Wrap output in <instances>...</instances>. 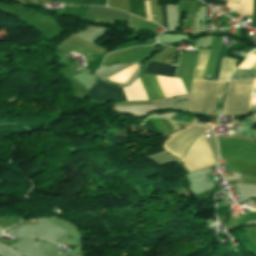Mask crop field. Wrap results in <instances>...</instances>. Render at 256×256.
Wrapping results in <instances>:
<instances>
[{
    "instance_id": "8a807250",
    "label": "crop field",
    "mask_w": 256,
    "mask_h": 256,
    "mask_svg": "<svg viewBox=\"0 0 256 256\" xmlns=\"http://www.w3.org/2000/svg\"><path fill=\"white\" fill-rule=\"evenodd\" d=\"M220 144L256 152V143L235 138L217 139ZM220 157L226 160L229 171L256 177V153L220 145Z\"/></svg>"
},
{
    "instance_id": "ac0d7876",
    "label": "crop field",
    "mask_w": 256,
    "mask_h": 256,
    "mask_svg": "<svg viewBox=\"0 0 256 256\" xmlns=\"http://www.w3.org/2000/svg\"><path fill=\"white\" fill-rule=\"evenodd\" d=\"M226 82L193 80L188 110H215L216 96L223 97Z\"/></svg>"
},
{
    "instance_id": "34b2d1b8",
    "label": "crop field",
    "mask_w": 256,
    "mask_h": 256,
    "mask_svg": "<svg viewBox=\"0 0 256 256\" xmlns=\"http://www.w3.org/2000/svg\"><path fill=\"white\" fill-rule=\"evenodd\" d=\"M253 81L230 80L223 114L247 113Z\"/></svg>"
},
{
    "instance_id": "412701ff",
    "label": "crop field",
    "mask_w": 256,
    "mask_h": 256,
    "mask_svg": "<svg viewBox=\"0 0 256 256\" xmlns=\"http://www.w3.org/2000/svg\"><path fill=\"white\" fill-rule=\"evenodd\" d=\"M180 160L190 172L215 165L204 134L193 143L186 156Z\"/></svg>"
},
{
    "instance_id": "f4fd0767",
    "label": "crop field",
    "mask_w": 256,
    "mask_h": 256,
    "mask_svg": "<svg viewBox=\"0 0 256 256\" xmlns=\"http://www.w3.org/2000/svg\"><path fill=\"white\" fill-rule=\"evenodd\" d=\"M206 128L207 127L204 126L194 125L185 130H182L170 137L163 145V148L171 154L181 158L193 140L203 131H205Z\"/></svg>"
},
{
    "instance_id": "dd49c442",
    "label": "crop field",
    "mask_w": 256,
    "mask_h": 256,
    "mask_svg": "<svg viewBox=\"0 0 256 256\" xmlns=\"http://www.w3.org/2000/svg\"><path fill=\"white\" fill-rule=\"evenodd\" d=\"M89 98L104 102L130 100L124 88H116L98 80L95 85L91 89H89Z\"/></svg>"
},
{
    "instance_id": "e52e79f7",
    "label": "crop field",
    "mask_w": 256,
    "mask_h": 256,
    "mask_svg": "<svg viewBox=\"0 0 256 256\" xmlns=\"http://www.w3.org/2000/svg\"><path fill=\"white\" fill-rule=\"evenodd\" d=\"M140 79L149 100L165 98L155 75H143Z\"/></svg>"
},
{
    "instance_id": "d8731c3e",
    "label": "crop field",
    "mask_w": 256,
    "mask_h": 256,
    "mask_svg": "<svg viewBox=\"0 0 256 256\" xmlns=\"http://www.w3.org/2000/svg\"><path fill=\"white\" fill-rule=\"evenodd\" d=\"M87 16L129 20L128 15L125 13L100 7H90Z\"/></svg>"
},
{
    "instance_id": "5a996713",
    "label": "crop field",
    "mask_w": 256,
    "mask_h": 256,
    "mask_svg": "<svg viewBox=\"0 0 256 256\" xmlns=\"http://www.w3.org/2000/svg\"><path fill=\"white\" fill-rule=\"evenodd\" d=\"M175 71L176 66L150 62L145 72L174 77Z\"/></svg>"
},
{
    "instance_id": "3316defc",
    "label": "crop field",
    "mask_w": 256,
    "mask_h": 256,
    "mask_svg": "<svg viewBox=\"0 0 256 256\" xmlns=\"http://www.w3.org/2000/svg\"><path fill=\"white\" fill-rule=\"evenodd\" d=\"M236 60L230 58H223L222 65L220 68V81L229 79L231 73L235 70Z\"/></svg>"
},
{
    "instance_id": "28ad6ade",
    "label": "crop field",
    "mask_w": 256,
    "mask_h": 256,
    "mask_svg": "<svg viewBox=\"0 0 256 256\" xmlns=\"http://www.w3.org/2000/svg\"><path fill=\"white\" fill-rule=\"evenodd\" d=\"M240 3L243 4L242 14L252 15V0H241ZM251 25L256 27V0H253V18Z\"/></svg>"
},
{
    "instance_id": "d1516ede",
    "label": "crop field",
    "mask_w": 256,
    "mask_h": 256,
    "mask_svg": "<svg viewBox=\"0 0 256 256\" xmlns=\"http://www.w3.org/2000/svg\"><path fill=\"white\" fill-rule=\"evenodd\" d=\"M130 13L145 18L142 0H129Z\"/></svg>"
},
{
    "instance_id": "22f410ed",
    "label": "crop field",
    "mask_w": 256,
    "mask_h": 256,
    "mask_svg": "<svg viewBox=\"0 0 256 256\" xmlns=\"http://www.w3.org/2000/svg\"><path fill=\"white\" fill-rule=\"evenodd\" d=\"M108 6L115 7L129 13L128 0H108Z\"/></svg>"
},
{
    "instance_id": "cbeb9de0",
    "label": "crop field",
    "mask_w": 256,
    "mask_h": 256,
    "mask_svg": "<svg viewBox=\"0 0 256 256\" xmlns=\"http://www.w3.org/2000/svg\"><path fill=\"white\" fill-rule=\"evenodd\" d=\"M227 52L228 51L220 50L219 57H218V62H217V67H216V71H215V75H214V79L213 80H218L219 68H220L221 60H222V57H227Z\"/></svg>"
},
{
    "instance_id": "5142ce71",
    "label": "crop field",
    "mask_w": 256,
    "mask_h": 256,
    "mask_svg": "<svg viewBox=\"0 0 256 256\" xmlns=\"http://www.w3.org/2000/svg\"><path fill=\"white\" fill-rule=\"evenodd\" d=\"M226 7L233 10L237 14L241 15V7H242L241 4H236V3H232V2L227 1Z\"/></svg>"
},
{
    "instance_id": "d9b57169",
    "label": "crop field",
    "mask_w": 256,
    "mask_h": 256,
    "mask_svg": "<svg viewBox=\"0 0 256 256\" xmlns=\"http://www.w3.org/2000/svg\"><path fill=\"white\" fill-rule=\"evenodd\" d=\"M249 109H256V87H253L252 89Z\"/></svg>"
},
{
    "instance_id": "733c2abd",
    "label": "crop field",
    "mask_w": 256,
    "mask_h": 256,
    "mask_svg": "<svg viewBox=\"0 0 256 256\" xmlns=\"http://www.w3.org/2000/svg\"><path fill=\"white\" fill-rule=\"evenodd\" d=\"M204 3H213V4H218V5H225L226 1L224 0H202Z\"/></svg>"
},
{
    "instance_id": "4a817a6b",
    "label": "crop field",
    "mask_w": 256,
    "mask_h": 256,
    "mask_svg": "<svg viewBox=\"0 0 256 256\" xmlns=\"http://www.w3.org/2000/svg\"><path fill=\"white\" fill-rule=\"evenodd\" d=\"M161 9H162V15H163V26L167 27L165 6H161Z\"/></svg>"
},
{
    "instance_id": "bc2a9ffb",
    "label": "crop field",
    "mask_w": 256,
    "mask_h": 256,
    "mask_svg": "<svg viewBox=\"0 0 256 256\" xmlns=\"http://www.w3.org/2000/svg\"><path fill=\"white\" fill-rule=\"evenodd\" d=\"M241 39L247 38L246 28H239Z\"/></svg>"
},
{
    "instance_id": "214f88e0",
    "label": "crop field",
    "mask_w": 256,
    "mask_h": 256,
    "mask_svg": "<svg viewBox=\"0 0 256 256\" xmlns=\"http://www.w3.org/2000/svg\"><path fill=\"white\" fill-rule=\"evenodd\" d=\"M247 68H251V69L256 68V58L252 61V63Z\"/></svg>"
},
{
    "instance_id": "92a150f3",
    "label": "crop field",
    "mask_w": 256,
    "mask_h": 256,
    "mask_svg": "<svg viewBox=\"0 0 256 256\" xmlns=\"http://www.w3.org/2000/svg\"><path fill=\"white\" fill-rule=\"evenodd\" d=\"M251 128L256 129V122H254V124L251 126Z\"/></svg>"
},
{
    "instance_id": "dafd665d",
    "label": "crop field",
    "mask_w": 256,
    "mask_h": 256,
    "mask_svg": "<svg viewBox=\"0 0 256 256\" xmlns=\"http://www.w3.org/2000/svg\"><path fill=\"white\" fill-rule=\"evenodd\" d=\"M253 86H256V79L254 80Z\"/></svg>"
},
{
    "instance_id": "00972430",
    "label": "crop field",
    "mask_w": 256,
    "mask_h": 256,
    "mask_svg": "<svg viewBox=\"0 0 256 256\" xmlns=\"http://www.w3.org/2000/svg\"><path fill=\"white\" fill-rule=\"evenodd\" d=\"M82 1H97V0H82Z\"/></svg>"
},
{
    "instance_id": "a9b5d70f",
    "label": "crop field",
    "mask_w": 256,
    "mask_h": 256,
    "mask_svg": "<svg viewBox=\"0 0 256 256\" xmlns=\"http://www.w3.org/2000/svg\"><path fill=\"white\" fill-rule=\"evenodd\" d=\"M254 117V120L256 121V115L255 116H253Z\"/></svg>"
},
{
    "instance_id": "4177f3b9",
    "label": "crop field",
    "mask_w": 256,
    "mask_h": 256,
    "mask_svg": "<svg viewBox=\"0 0 256 256\" xmlns=\"http://www.w3.org/2000/svg\"><path fill=\"white\" fill-rule=\"evenodd\" d=\"M42 1H46L47 2V0H42Z\"/></svg>"
}]
</instances>
